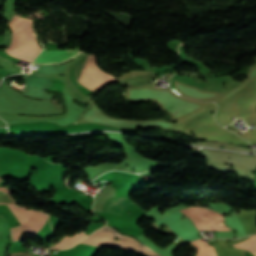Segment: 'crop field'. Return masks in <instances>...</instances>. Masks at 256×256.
Instances as JSON below:
<instances>
[{"label": "crop field", "instance_id": "1", "mask_svg": "<svg viewBox=\"0 0 256 256\" xmlns=\"http://www.w3.org/2000/svg\"><path fill=\"white\" fill-rule=\"evenodd\" d=\"M13 30L11 45L5 50L7 54L32 62L42 50L35 40L32 30V20L17 16L9 22Z\"/></svg>", "mask_w": 256, "mask_h": 256}, {"label": "crop field", "instance_id": "2", "mask_svg": "<svg viewBox=\"0 0 256 256\" xmlns=\"http://www.w3.org/2000/svg\"><path fill=\"white\" fill-rule=\"evenodd\" d=\"M114 237H118L119 240H114ZM80 243H88L97 246L125 248L131 251H137L139 253L145 254L146 256H160L151 248L145 246L136 239L121 235L117 233L116 230L112 229L107 225L95 231L87 238L82 240Z\"/></svg>", "mask_w": 256, "mask_h": 256}, {"label": "crop field", "instance_id": "3", "mask_svg": "<svg viewBox=\"0 0 256 256\" xmlns=\"http://www.w3.org/2000/svg\"><path fill=\"white\" fill-rule=\"evenodd\" d=\"M190 219H192L197 228H213V230H229L222 224L223 215L212 210L190 207L181 210ZM198 230H211V229H198Z\"/></svg>", "mask_w": 256, "mask_h": 256}, {"label": "crop field", "instance_id": "4", "mask_svg": "<svg viewBox=\"0 0 256 256\" xmlns=\"http://www.w3.org/2000/svg\"><path fill=\"white\" fill-rule=\"evenodd\" d=\"M78 52L77 48L74 50H43L33 63H54Z\"/></svg>", "mask_w": 256, "mask_h": 256}, {"label": "crop field", "instance_id": "5", "mask_svg": "<svg viewBox=\"0 0 256 256\" xmlns=\"http://www.w3.org/2000/svg\"><path fill=\"white\" fill-rule=\"evenodd\" d=\"M132 203L129 196L117 195L109 197L104 205L103 211L121 215L124 206Z\"/></svg>", "mask_w": 256, "mask_h": 256}, {"label": "crop field", "instance_id": "6", "mask_svg": "<svg viewBox=\"0 0 256 256\" xmlns=\"http://www.w3.org/2000/svg\"><path fill=\"white\" fill-rule=\"evenodd\" d=\"M87 235L84 234L83 232L78 234V235H73L72 238L66 236L60 243H58L57 245L53 246L52 250L54 249H65V248H69L71 246H73L74 244H76L77 242H79L81 239H83L84 237H86Z\"/></svg>", "mask_w": 256, "mask_h": 256}, {"label": "crop field", "instance_id": "7", "mask_svg": "<svg viewBox=\"0 0 256 256\" xmlns=\"http://www.w3.org/2000/svg\"><path fill=\"white\" fill-rule=\"evenodd\" d=\"M0 204H14L5 187L0 188Z\"/></svg>", "mask_w": 256, "mask_h": 256}, {"label": "crop field", "instance_id": "8", "mask_svg": "<svg viewBox=\"0 0 256 256\" xmlns=\"http://www.w3.org/2000/svg\"><path fill=\"white\" fill-rule=\"evenodd\" d=\"M11 256H30V255L18 253V254H12Z\"/></svg>", "mask_w": 256, "mask_h": 256}, {"label": "crop field", "instance_id": "9", "mask_svg": "<svg viewBox=\"0 0 256 256\" xmlns=\"http://www.w3.org/2000/svg\"><path fill=\"white\" fill-rule=\"evenodd\" d=\"M256 256V254H254Z\"/></svg>", "mask_w": 256, "mask_h": 256}]
</instances>
